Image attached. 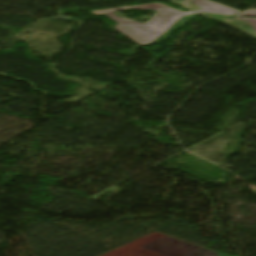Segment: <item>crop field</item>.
<instances>
[{"label":"crop field","mask_w":256,"mask_h":256,"mask_svg":"<svg viewBox=\"0 0 256 256\" xmlns=\"http://www.w3.org/2000/svg\"><path fill=\"white\" fill-rule=\"evenodd\" d=\"M191 2L203 9L195 12L186 13L173 10L167 5L153 3L116 9L97 10L93 11L92 13L104 14L109 18L113 19L114 21L118 22L119 24L115 27L116 29H118L121 33L133 39L137 43L144 45L150 44L152 41L159 38L183 16L199 12H212L229 15H234L240 12L207 0H191ZM129 8L153 9L156 10L157 13L146 24L129 19L124 20L113 13V11Z\"/></svg>","instance_id":"crop-field-1"},{"label":"crop field","mask_w":256,"mask_h":256,"mask_svg":"<svg viewBox=\"0 0 256 256\" xmlns=\"http://www.w3.org/2000/svg\"><path fill=\"white\" fill-rule=\"evenodd\" d=\"M236 16H245V17H256V9H251L245 12H241Z\"/></svg>","instance_id":"crop-field-2"},{"label":"crop field","mask_w":256,"mask_h":256,"mask_svg":"<svg viewBox=\"0 0 256 256\" xmlns=\"http://www.w3.org/2000/svg\"><path fill=\"white\" fill-rule=\"evenodd\" d=\"M236 19L241 20V21H249V23L253 26V29L256 33V19L255 18H236Z\"/></svg>","instance_id":"crop-field-3"}]
</instances>
